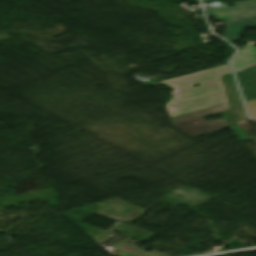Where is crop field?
Masks as SVG:
<instances>
[{
	"instance_id": "obj_8",
	"label": "crop field",
	"mask_w": 256,
	"mask_h": 256,
	"mask_svg": "<svg viewBox=\"0 0 256 256\" xmlns=\"http://www.w3.org/2000/svg\"><path fill=\"white\" fill-rule=\"evenodd\" d=\"M178 1H181V0H178Z\"/></svg>"
},
{
	"instance_id": "obj_2",
	"label": "crop field",
	"mask_w": 256,
	"mask_h": 256,
	"mask_svg": "<svg viewBox=\"0 0 256 256\" xmlns=\"http://www.w3.org/2000/svg\"><path fill=\"white\" fill-rule=\"evenodd\" d=\"M231 7L206 9L210 16L226 20L227 27L223 38L230 41L240 35L243 27L255 26L256 17L237 20L238 18L256 16V0L233 2ZM256 64V47L248 46L238 52L233 60L236 73Z\"/></svg>"
},
{
	"instance_id": "obj_5",
	"label": "crop field",
	"mask_w": 256,
	"mask_h": 256,
	"mask_svg": "<svg viewBox=\"0 0 256 256\" xmlns=\"http://www.w3.org/2000/svg\"><path fill=\"white\" fill-rule=\"evenodd\" d=\"M247 105H248V109L250 111V116L253 119H256V100L247 102Z\"/></svg>"
},
{
	"instance_id": "obj_4",
	"label": "crop field",
	"mask_w": 256,
	"mask_h": 256,
	"mask_svg": "<svg viewBox=\"0 0 256 256\" xmlns=\"http://www.w3.org/2000/svg\"><path fill=\"white\" fill-rule=\"evenodd\" d=\"M246 101L256 99V66L236 74Z\"/></svg>"
},
{
	"instance_id": "obj_6",
	"label": "crop field",
	"mask_w": 256,
	"mask_h": 256,
	"mask_svg": "<svg viewBox=\"0 0 256 256\" xmlns=\"http://www.w3.org/2000/svg\"><path fill=\"white\" fill-rule=\"evenodd\" d=\"M233 128L235 129V131L238 133V135L241 138H249L240 128L238 125L233 126Z\"/></svg>"
},
{
	"instance_id": "obj_3",
	"label": "crop field",
	"mask_w": 256,
	"mask_h": 256,
	"mask_svg": "<svg viewBox=\"0 0 256 256\" xmlns=\"http://www.w3.org/2000/svg\"><path fill=\"white\" fill-rule=\"evenodd\" d=\"M224 78H225L226 83H227V87H228V90H229V94H230L232 104L235 108V110L226 112V114L229 118V121H230L231 125L233 126L235 124H238V123L248 119V117L246 115V112H245L244 107L242 105L241 99L239 97V94H238L233 76L231 75V76H227V77H224Z\"/></svg>"
},
{
	"instance_id": "obj_1",
	"label": "crop field",
	"mask_w": 256,
	"mask_h": 256,
	"mask_svg": "<svg viewBox=\"0 0 256 256\" xmlns=\"http://www.w3.org/2000/svg\"><path fill=\"white\" fill-rule=\"evenodd\" d=\"M227 73H230L229 64L158 82L175 89L172 103L165 105L173 126L191 137L228 128L225 119L205 121L202 118L230 109L220 78ZM195 84L199 86L193 88ZM223 103L226 104L206 109ZM188 108L193 109L184 111ZM195 132L197 134L192 135Z\"/></svg>"
},
{
	"instance_id": "obj_7",
	"label": "crop field",
	"mask_w": 256,
	"mask_h": 256,
	"mask_svg": "<svg viewBox=\"0 0 256 256\" xmlns=\"http://www.w3.org/2000/svg\"><path fill=\"white\" fill-rule=\"evenodd\" d=\"M218 1H228V0H204L205 3L218 2Z\"/></svg>"
}]
</instances>
